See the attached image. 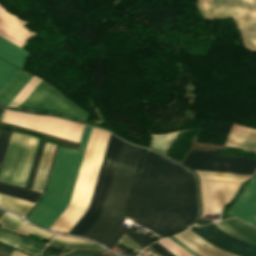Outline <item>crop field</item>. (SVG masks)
<instances>
[{
    "mask_svg": "<svg viewBox=\"0 0 256 256\" xmlns=\"http://www.w3.org/2000/svg\"><path fill=\"white\" fill-rule=\"evenodd\" d=\"M197 212L193 174L146 150L127 215L165 236L184 229Z\"/></svg>",
    "mask_w": 256,
    "mask_h": 256,
    "instance_id": "obj_1",
    "label": "crop field"
},
{
    "mask_svg": "<svg viewBox=\"0 0 256 256\" xmlns=\"http://www.w3.org/2000/svg\"><path fill=\"white\" fill-rule=\"evenodd\" d=\"M143 150L123 142L104 209L84 235L110 249L124 233L141 247L150 242L134 230L118 224L126 210Z\"/></svg>",
    "mask_w": 256,
    "mask_h": 256,
    "instance_id": "obj_2",
    "label": "crop field"
},
{
    "mask_svg": "<svg viewBox=\"0 0 256 256\" xmlns=\"http://www.w3.org/2000/svg\"><path fill=\"white\" fill-rule=\"evenodd\" d=\"M91 127L86 126L75 159V149L58 147L53 168L43 199L26 218L50 228L71 200L79 169L88 143Z\"/></svg>",
    "mask_w": 256,
    "mask_h": 256,
    "instance_id": "obj_3",
    "label": "crop field"
},
{
    "mask_svg": "<svg viewBox=\"0 0 256 256\" xmlns=\"http://www.w3.org/2000/svg\"><path fill=\"white\" fill-rule=\"evenodd\" d=\"M206 19L232 16L246 48L256 51V0H197ZM224 145L256 153V130L232 125Z\"/></svg>",
    "mask_w": 256,
    "mask_h": 256,
    "instance_id": "obj_4",
    "label": "crop field"
},
{
    "mask_svg": "<svg viewBox=\"0 0 256 256\" xmlns=\"http://www.w3.org/2000/svg\"><path fill=\"white\" fill-rule=\"evenodd\" d=\"M123 140L110 135V139L107 145V149L104 155L102 166L99 172L97 183L94 189V193L91 199V203L79 219V221L70 230V234L83 236L90 226L98 218L107 196V192L110 186V182L113 176V172L116 166V162L119 156V152L122 146Z\"/></svg>",
    "mask_w": 256,
    "mask_h": 256,
    "instance_id": "obj_5",
    "label": "crop field"
},
{
    "mask_svg": "<svg viewBox=\"0 0 256 256\" xmlns=\"http://www.w3.org/2000/svg\"><path fill=\"white\" fill-rule=\"evenodd\" d=\"M37 140L33 136L11 133L0 180L25 186Z\"/></svg>",
    "mask_w": 256,
    "mask_h": 256,
    "instance_id": "obj_6",
    "label": "crop field"
},
{
    "mask_svg": "<svg viewBox=\"0 0 256 256\" xmlns=\"http://www.w3.org/2000/svg\"><path fill=\"white\" fill-rule=\"evenodd\" d=\"M2 121L78 142L80 141L84 126L55 117L18 113L8 110L5 111Z\"/></svg>",
    "mask_w": 256,
    "mask_h": 256,
    "instance_id": "obj_7",
    "label": "crop field"
},
{
    "mask_svg": "<svg viewBox=\"0 0 256 256\" xmlns=\"http://www.w3.org/2000/svg\"><path fill=\"white\" fill-rule=\"evenodd\" d=\"M217 152L190 150L183 164L192 169L252 174L256 160L237 156L216 155Z\"/></svg>",
    "mask_w": 256,
    "mask_h": 256,
    "instance_id": "obj_8",
    "label": "crop field"
},
{
    "mask_svg": "<svg viewBox=\"0 0 256 256\" xmlns=\"http://www.w3.org/2000/svg\"><path fill=\"white\" fill-rule=\"evenodd\" d=\"M202 214L219 212L232 198L239 184L200 180Z\"/></svg>",
    "mask_w": 256,
    "mask_h": 256,
    "instance_id": "obj_9",
    "label": "crop field"
},
{
    "mask_svg": "<svg viewBox=\"0 0 256 256\" xmlns=\"http://www.w3.org/2000/svg\"><path fill=\"white\" fill-rule=\"evenodd\" d=\"M208 242L240 256H256V246L236 239L218 229L214 224L191 228Z\"/></svg>",
    "mask_w": 256,
    "mask_h": 256,
    "instance_id": "obj_10",
    "label": "crop field"
},
{
    "mask_svg": "<svg viewBox=\"0 0 256 256\" xmlns=\"http://www.w3.org/2000/svg\"><path fill=\"white\" fill-rule=\"evenodd\" d=\"M87 121L90 114L77 106L55 87L35 109Z\"/></svg>",
    "mask_w": 256,
    "mask_h": 256,
    "instance_id": "obj_11",
    "label": "crop field"
},
{
    "mask_svg": "<svg viewBox=\"0 0 256 256\" xmlns=\"http://www.w3.org/2000/svg\"><path fill=\"white\" fill-rule=\"evenodd\" d=\"M26 22L18 19L0 5V35L22 48L35 33L23 26Z\"/></svg>",
    "mask_w": 256,
    "mask_h": 256,
    "instance_id": "obj_12",
    "label": "crop field"
},
{
    "mask_svg": "<svg viewBox=\"0 0 256 256\" xmlns=\"http://www.w3.org/2000/svg\"><path fill=\"white\" fill-rule=\"evenodd\" d=\"M228 214L256 227V175L228 211Z\"/></svg>",
    "mask_w": 256,
    "mask_h": 256,
    "instance_id": "obj_13",
    "label": "crop field"
},
{
    "mask_svg": "<svg viewBox=\"0 0 256 256\" xmlns=\"http://www.w3.org/2000/svg\"><path fill=\"white\" fill-rule=\"evenodd\" d=\"M200 131L201 129H189L179 131L173 142L166 150L165 154L179 161H182Z\"/></svg>",
    "mask_w": 256,
    "mask_h": 256,
    "instance_id": "obj_14",
    "label": "crop field"
},
{
    "mask_svg": "<svg viewBox=\"0 0 256 256\" xmlns=\"http://www.w3.org/2000/svg\"><path fill=\"white\" fill-rule=\"evenodd\" d=\"M55 146L56 145H53L47 142L45 143V147L43 150V154L40 160V164L38 167V171H37L32 189L43 191V187L48 174V170H49L52 156L55 150Z\"/></svg>",
    "mask_w": 256,
    "mask_h": 256,
    "instance_id": "obj_15",
    "label": "crop field"
},
{
    "mask_svg": "<svg viewBox=\"0 0 256 256\" xmlns=\"http://www.w3.org/2000/svg\"><path fill=\"white\" fill-rule=\"evenodd\" d=\"M182 238L187 240L189 243H191L193 246H195L197 249L202 251L203 253L210 255V256H236L231 253L225 252L223 250H220L218 248H215L208 244L206 241H204L202 238L197 236L195 233H193L191 230H186L183 233L179 234Z\"/></svg>",
    "mask_w": 256,
    "mask_h": 256,
    "instance_id": "obj_16",
    "label": "crop field"
},
{
    "mask_svg": "<svg viewBox=\"0 0 256 256\" xmlns=\"http://www.w3.org/2000/svg\"><path fill=\"white\" fill-rule=\"evenodd\" d=\"M23 50L0 37V56L19 67H22L28 55Z\"/></svg>",
    "mask_w": 256,
    "mask_h": 256,
    "instance_id": "obj_17",
    "label": "crop field"
},
{
    "mask_svg": "<svg viewBox=\"0 0 256 256\" xmlns=\"http://www.w3.org/2000/svg\"><path fill=\"white\" fill-rule=\"evenodd\" d=\"M52 88L41 80L19 107L34 110Z\"/></svg>",
    "mask_w": 256,
    "mask_h": 256,
    "instance_id": "obj_18",
    "label": "crop field"
},
{
    "mask_svg": "<svg viewBox=\"0 0 256 256\" xmlns=\"http://www.w3.org/2000/svg\"><path fill=\"white\" fill-rule=\"evenodd\" d=\"M34 202L15 198L0 193V205L25 215Z\"/></svg>",
    "mask_w": 256,
    "mask_h": 256,
    "instance_id": "obj_19",
    "label": "crop field"
},
{
    "mask_svg": "<svg viewBox=\"0 0 256 256\" xmlns=\"http://www.w3.org/2000/svg\"><path fill=\"white\" fill-rule=\"evenodd\" d=\"M196 172L198 173L200 179H206V180L241 182L250 177V175H245V174H233V173L200 171V170H196Z\"/></svg>",
    "mask_w": 256,
    "mask_h": 256,
    "instance_id": "obj_20",
    "label": "crop field"
},
{
    "mask_svg": "<svg viewBox=\"0 0 256 256\" xmlns=\"http://www.w3.org/2000/svg\"><path fill=\"white\" fill-rule=\"evenodd\" d=\"M31 77L32 75L23 71L19 77L10 85V87L1 95L0 103L7 105Z\"/></svg>",
    "mask_w": 256,
    "mask_h": 256,
    "instance_id": "obj_21",
    "label": "crop field"
},
{
    "mask_svg": "<svg viewBox=\"0 0 256 256\" xmlns=\"http://www.w3.org/2000/svg\"><path fill=\"white\" fill-rule=\"evenodd\" d=\"M20 70L0 59V94L17 77L21 72Z\"/></svg>",
    "mask_w": 256,
    "mask_h": 256,
    "instance_id": "obj_22",
    "label": "crop field"
},
{
    "mask_svg": "<svg viewBox=\"0 0 256 256\" xmlns=\"http://www.w3.org/2000/svg\"><path fill=\"white\" fill-rule=\"evenodd\" d=\"M0 192L4 193V194L15 196V197L23 198L26 200L34 201V202H36V200L40 196L39 193L16 188V187L5 185L2 183H0Z\"/></svg>",
    "mask_w": 256,
    "mask_h": 256,
    "instance_id": "obj_23",
    "label": "crop field"
},
{
    "mask_svg": "<svg viewBox=\"0 0 256 256\" xmlns=\"http://www.w3.org/2000/svg\"><path fill=\"white\" fill-rule=\"evenodd\" d=\"M44 141L42 140H38V144H37V147H36V151H35V154H34V158H33V161H32V165H31V168H30V172H29V175H28V179H27V182H26V188H32V184H33V181H34V177H35V174H36V171H37V167H38V164H39V160H40V157H41V153H42V150H43V147H44Z\"/></svg>",
    "mask_w": 256,
    "mask_h": 256,
    "instance_id": "obj_24",
    "label": "crop field"
},
{
    "mask_svg": "<svg viewBox=\"0 0 256 256\" xmlns=\"http://www.w3.org/2000/svg\"><path fill=\"white\" fill-rule=\"evenodd\" d=\"M0 223H2L1 228H5L14 232L26 222H24L18 216L5 211V213L0 218Z\"/></svg>",
    "mask_w": 256,
    "mask_h": 256,
    "instance_id": "obj_25",
    "label": "crop field"
},
{
    "mask_svg": "<svg viewBox=\"0 0 256 256\" xmlns=\"http://www.w3.org/2000/svg\"><path fill=\"white\" fill-rule=\"evenodd\" d=\"M39 81L40 79L33 76L30 81L21 89V91L12 99L8 106L18 107Z\"/></svg>",
    "mask_w": 256,
    "mask_h": 256,
    "instance_id": "obj_26",
    "label": "crop field"
},
{
    "mask_svg": "<svg viewBox=\"0 0 256 256\" xmlns=\"http://www.w3.org/2000/svg\"><path fill=\"white\" fill-rule=\"evenodd\" d=\"M43 246L44 245L41 243L21 237L18 244L16 245V248L28 254L36 256L43 248Z\"/></svg>",
    "mask_w": 256,
    "mask_h": 256,
    "instance_id": "obj_27",
    "label": "crop field"
},
{
    "mask_svg": "<svg viewBox=\"0 0 256 256\" xmlns=\"http://www.w3.org/2000/svg\"><path fill=\"white\" fill-rule=\"evenodd\" d=\"M15 233H18V234H21V235H24V236H26L27 234L31 233V234L38 235V236H41V237H44V238H48V239H50V237L53 234L51 232L38 229V228H36L34 226H31V225H29L27 223L24 226H22ZM31 234H29L27 237L38 239V240L41 239V237L34 236V235H31Z\"/></svg>",
    "mask_w": 256,
    "mask_h": 256,
    "instance_id": "obj_28",
    "label": "crop field"
},
{
    "mask_svg": "<svg viewBox=\"0 0 256 256\" xmlns=\"http://www.w3.org/2000/svg\"><path fill=\"white\" fill-rule=\"evenodd\" d=\"M157 242H159L176 256H193L169 238L161 239Z\"/></svg>",
    "mask_w": 256,
    "mask_h": 256,
    "instance_id": "obj_29",
    "label": "crop field"
},
{
    "mask_svg": "<svg viewBox=\"0 0 256 256\" xmlns=\"http://www.w3.org/2000/svg\"><path fill=\"white\" fill-rule=\"evenodd\" d=\"M9 131L0 130V168L5 154V150L10 137Z\"/></svg>",
    "mask_w": 256,
    "mask_h": 256,
    "instance_id": "obj_30",
    "label": "crop field"
},
{
    "mask_svg": "<svg viewBox=\"0 0 256 256\" xmlns=\"http://www.w3.org/2000/svg\"><path fill=\"white\" fill-rule=\"evenodd\" d=\"M50 244L58 245V246H63V247H78V248H100L104 249L103 247L99 245H90V244H72V243H67V242H61V241H55L51 240ZM106 250V249H105Z\"/></svg>",
    "mask_w": 256,
    "mask_h": 256,
    "instance_id": "obj_31",
    "label": "crop field"
},
{
    "mask_svg": "<svg viewBox=\"0 0 256 256\" xmlns=\"http://www.w3.org/2000/svg\"><path fill=\"white\" fill-rule=\"evenodd\" d=\"M103 251H96V250H74L62 256H94L99 254Z\"/></svg>",
    "mask_w": 256,
    "mask_h": 256,
    "instance_id": "obj_32",
    "label": "crop field"
},
{
    "mask_svg": "<svg viewBox=\"0 0 256 256\" xmlns=\"http://www.w3.org/2000/svg\"><path fill=\"white\" fill-rule=\"evenodd\" d=\"M53 239L72 242V243H90V244H94L90 241H86V240H82V239H78V238H74V237H69V236H63V235H59V234H56Z\"/></svg>",
    "mask_w": 256,
    "mask_h": 256,
    "instance_id": "obj_33",
    "label": "crop field"
},
{
    "mask_svg": "<svg viewBox=\"0 0 256 256\" xmlns=\"http://www.w3.org/2000/svg\"><path fill=\"white\" fill-rule=\"evenodd\" d=\"M133 241L124 234L118 242L137 252V250L141 247H139L136 243H134L135 241Z\"/></svg>",
    "mask_w": 256,
    "mask_h": 256,
    "instance_id": "obj_34",
    "label": "crop field"
},
{
    "mask_svg": "<svg viewBox=\"0 0 256 256\" xmlns=\"http://www.w3.org/2000/svg\"><path fill=\"white\" fill-rule=\"evenodd\" d=\"M63 249L47 246L42 252V256H59Z\"/></svg>",
    "mask_w": 256,
    "mask_h": 256,
    "instance_id": "obj_35",
    "label": "crop field"
},
{
    "mask_svg": "<svg viewBox=\"0 0 256 256\" xmlns=\"http://www.w3.org/2000/svg\"><path fill=\"white\" fill-rule=\"evenodd\" d=\"M149 246L152 247L155 251H157L162 256H174L172 253H170L168 250H166L164 247H162L157 242H155Z\"/></svg>",
    "mask_w": 256,
    "mask_h": 256,
    "instance_id": "obj_36",
    "label": "crop field"
},
{
    "mask_svg": "<svg viewBox=\"0 0 256 256\" xmlns=\"http://www.w3.org/2000/svg\"><path fill=\"white\" fill-rule=\"evenodd\" d=\"M11 248L0 244V256H10Z\"/></svg>",
    "mask_w": 256,
    "mask_h": 256,
    "instance_id": "obj_37",
    "label": "crop field"
},
{
    "mask_svg": "<svg viewBox=\"0 0 256 256\" xmlns=\"http://www.w3.org/2000/svg\"><path fill=\"white\" fill-rule=\"evenodd\" d=\"M170 238L172 240H174L176 243H178L180 246H182L184 249H186L188 252H190L191 254L195 255V256H200L199 254H197L196 252H194L193 250H191L190 248H188L187 246H185L183 243H181L179 240H177L175 237L170 236Z\"/></svg>",
    "mask_w": 256,
    "mask_h": 256,
    "instance_id": "obj_38",
    "label": "crop field"
},
{
    "mask_svg": "<svg viewBox=\"0 0 256 256\" xmlns=\"http://www.w3.org/2000/svg\"><path fill=\"white\" fill-rule=\"evenodd\" d=\"M177 239H179L181 242H183L185 245H187L188 247H190L191 249H193L194 251H196L197 253H199L201 256H207L205 254H203L202 252H200L199 250H197L195 247H193L191 244H189L187 241H185L184 239H182L180 236L178 235H174Z\"/></svg>",
    "mask_w": 256,
    "mask_h": 256,
    "instance_id": "obj_39",
    "label": "crop field"
},
{
    "mask_svg": "<svg viewBox=\"0 0 256 256\" xmlns=\"http://www.w3.org/2000/svg\"><path fill=\"white\" fill-rule=\"evenodd\" d=\"M19 251H15V250H13V252H12V255L11 256H19Z\"/></svg>",
    "mask_w": 256,
    "mask_h": 256,
    "instance_id": "obj_40",
    "label": "crop field"
},
{
    "mask_svg": "<svg viewBox=\"0 0 256 256\" xmlns=\"http://www.w3.org/2000/svg\"><path fill=\"white\" fill-rule=\"evenodd\" d=\"M145 249H147L149 252H151L153 255H158V254H156L154 251H152L150 248H148V247H146Z\"/></svg>",
    "mask_w": 256,
    "mask_h": 256,
    "instance_id": "obj_41",
    "label": "crop field"
},
{
    "mask_svg": "<svg viewBox=\"0 0 256 256\" xmlns=\"http://www.w3.org/2000/svg\"><path fill=\"white\" fill-rule=\"evenodd\" d=\"M20 256H27V255H25V254H23V253H20Z\"/></svg>",
    "mask_w": 256,
    "mask_h": 256,
    "instance_id": "obj_42",
    "label": "crop field"
},
{
    "mask_svg": "<svg viewBox=\"0 0 256 256\" xmlns=\"http://www.w3.org/2000/svg\"><path fill=\"white\" fill-rule=\"evenodd\" d=\"M6 184V183H5ZM10 185V184H9ZM14 186V185H13ZM21 188V187H20ZM25 189V188H24ZM29 190V189H28ZM31 191H33V190H31ZM35 192H37V191H35Z\"/></svg>",
    "mask_w": 256,
    "mask_h": 256,
    "instance_id": "obj_43",
    "label": "crop field"
},
{
    "mask_svg": "<svg viewBox=\"0 0 256 256\" xmlns=\"http://www.w3.org/2000/svg\"><path fill=\"white\" fill-rule=\"evenodd\" d=\"M2 212V209H0V213Z\"/></svg>",
    "mask_w": 256,
    "mask_h": 256,
    "instance_id": "obj_44",
    "label": "crop field"
},
{
    "mask_svg": "<svg viewBox=\"0 0 256 256\" xmlns=\"http://www.w3.org/2000/svg\"><path fill=\"white\" fill-rule=\"evenodd\" d=\"M0 111H1V109H0Z\"/></svg>",
    "mask_w": 256,
    "mask_h": 256,
    "instance_id": "obj_45",
    "label": "crop field"
}]
</instances>
